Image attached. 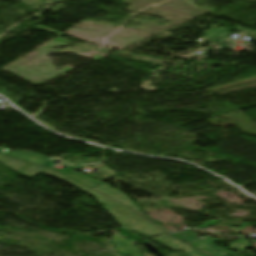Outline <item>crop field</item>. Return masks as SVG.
<instances>
[{"instance_id": "obj_1", "label": "crop field", "mask_w": 256, "mask_h": 256, "mask_svg": "<svg viewBox=\"0 0 256 256\" xmlns=\"http://www.w3.org/2000/svg\"><path fill=\"white\" fill-rule=\"evenodd\" d=\"M87 194L95 197L97 202L107 204L108 206L105 209L114 217L123 229L136 232L144 238H150L153 235L163 233L126 206L93 190Z\"/></svg>"}, {"instance_id": "obj_2", "label": "crop field", "mask_w": 256, "mask_h": 256, "mask_svg": "<svg viewBox=\"0 0 256 256\" xmlns=\"http://www.w3.org/2000/svg\"><path fill=\"white\" fill-rule=\"evenodd\" d=\"M0 163L4 164L5 166H7L8 168H10L11 170L23 175V176H26V177H30V178H33L34 176H36L38 173L42 172V173H48L54 177H57L79 189H81L82 191L84 192H88L90 191L91 189L75 182V181H72L68 178H65L51 170H48L42 166H39V165H35V164H32V163H29V162H25V161H22V160H18V159H15V158H11V157H8V156H5V155H1L0 154Z\"/></svg>"}, {"instance_id": "obj_3", "label": "crop field", "mask_w": 256, "mask_h": 256, "mask_svg": "<svg viewBox=\"0 0 256 256\" xmlns=\"http://www.w3.org/2000/svg\"><path fill=\"white\" fill-rule=\"evenodd\" d=\"M0 153H3V152L0 151ZM3 154H7V155H11V156H14V157H17V158H21V159H24V160H27V161H30V162H33V163H37V164L46 166V167H50L51 165H53L45 157H43L41 155L29 153V152H9V153H3ZM50 168H52V167H50ZM52 169H54V168H52ZM54 170L66 175V176H68V177H70V178H72V179H74V180H76V181H78L82 184H85V185H87L91 188H93L96 185H98L99 183H101V182H99L97 180H94V179H91L89 177L74 173L73 166L62 169V170H57V169H54Z\"/></svg>"}, {"instance_id": "obj_4", "label": "crop field", "mask_w": 256, "mask_h": 256, "mask_svg": "<svg viewBox=\"0 0 256 256\" xmlns=\"http://www.w3.org/2000/svg\"><path fill=\"white\" fill-rule=\"evenodd\" d=\"M213 256H227L228 253L227 251H224L222 249L216 248L212 245V242L217 239H213L211 237H206L203 239H200L197 237L194 231L192 230H187L185 232L181 233H176V234H171ZM221 240H226V239H221Z\"/></svg>"}, {"instance_id": "obj_5", "label": "crop field", "mask_w": 256, "mask_h": 256, "mask_svg": "<svg viewBox=\"0 0 256 256\" xmlns=\"http://www.w3.org/2000/svg\"><path fill=\"white\" fill-rule=\"evenodd\" d=\"M160 244H163L171 249L181 250L187 253L189 256H209L169 235H165L159 238L152 239Z\"/></svg>"}, {"instance_id": "obj_6", "label": "crop field", "mask_w": 256, "mask_h": 256, "mask_svg": "<svg viewBox=\"0 0 256 256\" xmlns=\"http://www.w3.org/2000/svg\"><path fill=\"white\" fill-rule=\"evenodd\" d=\"M93 189H95V190H97V191H100V192H102V193H104V194H106V195H108V196H110V197H112V198H114V199H116V200H118V201H120V202H122V203H124V204H126V205H128V206H130L131 208H133L134 210H136L137 212H139L141 215H143L145 218H147L144 214H142L138 209H137V207L133 204V202L128 198V197H126L123 193H121V192H119V191H117V190H115V189H113V188H111V187H109V186H107L106 185V183H101V184H99L98 186H96L95 188H93ZM149 221H151L149 218H147ZM152 223H154L153 221H151ZM155 224V223H154ZM157 225V224H156ZM158 226V225H157ZM160 227V226H159ZM160 228H162V229H164L165 231H167V232H170L169 230H167V229H165V228H163V227H160ZM166 232V233H167Z\"/></svg>"}, {"instance_id": "obj_7", "label": "crop field", "mask_w": 256, "mask_h": 256, "mask_svg": "<svg viewBox=\"0 0 256 256\" xmlns=\"http://www.w3.org/2000/svg\"><path fill=\"white\" fill-rule=\"evenodd\" d=\"M112 243L116 246V249L122 256H139L134 245L122 237H118L117 235L113 234Z\"/></svg>"}, {"instance_id": "obj_8", "label": "crop field", "mask_w": 256, "mask_h": 256, "mask_svg": "<svg viewBox=\"0 0 256 256\" xmlns=\"http://www.w3.org/2000/svg\"><path fill=\"white\" fill-rule=\"evenodd\" d=\"M249 222L243 223L240 228L232 227V231L238 234Z\"/></svg>"}, {"instance_id": "obj_9", "label": "crop field", "mask_w": 256, "mask_h": 256, "mask_svg": "<svg viewBox=\"0 0 256 256\" xmlns=\"http://www.w3.org/2000/svg\"><path fill=\"white\" fill-rule=\"evenodd\" d=\"M215 223H216V220H213V221H211V222H209V223H207V224H205V225H203V226H201V227H199V228H205V227H207V226L214 225Z\"/></svg>"}]
</instances>
